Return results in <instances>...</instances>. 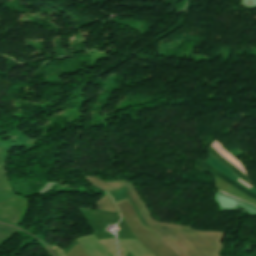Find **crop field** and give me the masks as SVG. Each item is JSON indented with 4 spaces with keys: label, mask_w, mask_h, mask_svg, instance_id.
I'll list each match as a JSON object with an SVG mask.
<instances>
[{
    "label": "crop field",
    "mask_w": 256,
    "mask_h": 256,
    "mask_svg": "<svg viewBox=\"0 0 256 256\" xmlns=\"http://www.w3.org/2000/svg\"><path fill=\"white\" fill-rule=\"evenodd\" d=\"M207 163H209L210 165H212L213 167H215L216 169H218L219 171H221L222 173H224L225 175H227L228 177H230L231 179H233L235 182H237L239 185H241L243 188L252 191L254 193H256V189L250 185V187L246 186L245 182L243 180H241L240 178H238L236 175H234L232 172H230L226 167H224L218 160H216L210 153V158H208L207 160H205ZM206 162L202 161V160H198L197 161V165L200 167V170L202 171H207L208 173L217 176L219 178H221L222 180H224L225 182H227L228 184H230L231 186L235 187L236 189L242 191L243 193L249 195L250 197L256 199V195L243 189L241 186H239L238 184H236L234 181H232L230 178H228L227 176H225L224 174H222L221 172H219L218 170H216L215 168H213L212 166H210L209 164H207Z\"/></svg>",
    "instance_id": "obj_1"
},
{
    "label": "crop field",
    "mask_w": 256,
    "mask_h": 256,
    "mask_svg": "<svg viewBox=\"0 0 256 256\" xmlns=\"http://www.w3.org/2000/svg\"><path fill=\"white\" fill-rule=\"evenodd\" d=\"M207 149L212 153L215 158H217L219 161L229 167L236 175H238L243 180L249 182L245 175H243L237 168H235L230 162H228L223 156H221L215 149H213L211 146Z\"/></svg>",
    "instance_id": "obj_2"
}]
</instances>
